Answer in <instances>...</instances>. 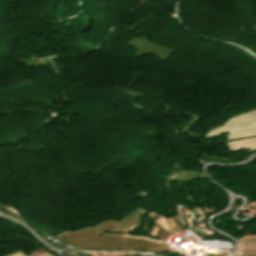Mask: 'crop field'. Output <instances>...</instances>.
<instances>
[{
	"mask_svg": "<svg viewBox=\"0 0 256 256\" xmlns=\"http://www.w3.org/2000/svg\"><path fill=\"white\" fill-rule=\"evenodd\" d=\"M240 241L241 242L256 241V237H254V238H243V239H240ZM240 255L256 256V242L241 243Z\"/></svg>",
	"mask_w": 256,
	"mask_h": 256,
	"instance_id": "8a807250",
	"label": "crop field"
}]
</instances>
